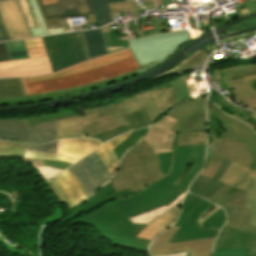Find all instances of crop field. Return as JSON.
<instances>
[{
    "label": "crop field",
    "mask_w": 256,
    "mask_h": 256,
    "mask_svg": "<svg viewBox=\"0 0 256 256\" xmlns=\"http://www.w3.org/2000/svg\"><path fill=\"white\" fill-rule=\"evenodd\" d=\"M160 173L165 176L143 187L144 190L124 199H116L112 203L87 215L80 216L65 224L72 227L76 223H84L94 227L97 234L128 238L150 243V240L135 238L146 226L132 224L128 218L153 210L163 204L169 205L183 191L169 184L183 161L181 146L173 148V152L158 154Z\"/></svg>",
    "instance_id": "8a807250"
},
{
    "label": "crop field",
    "mask_w": 256,
    "mask_h": 256,
    "mask_svg": "<svg viewBox=\"0 0 256 256\" xmlns=\"http://www.w3.org/2000/svg\"><path fill=\"white\" fill-rule=\"evenodd\" d=\"M131 65V66H129ZM139 68L127 49L69 67L55 74L22 78L27 94L46 93L120 76Z\"/></svg>",
    "instance_id": "ac0d7876"
},
{
    "label": "crop field",
    "mask_w": 256,
    "mask_h": 256,
    "mask_svg": "<svg viewBox=\"0 0 256 256\" xmlns=\"http://www.w3.org/2000/svg\"><path fill=\"white\" fill-rule=\"evenodd\" d=\"M226 218L224 210L191 193L185 196L180 217L181 227L170 242L216 237Z\"/></svg>",
    "instance_id": "34b2d1b8"
},
{
    "label": "crop field",
    "mask_w": 256,
    "mask_h": 256,
    "mask_svg": "<svg viewBox=\"0 0 256 256\" xmlns=\"http://www.w3.org/2000/svg\"><path fill=\"white\" fill-rule=\"evenodd\" d=\"M189 41L187 31L183 30L130 39V48L141 67L139 73H142L159 65L178 50L182 44Z\"/></svg>",
    "instance_id": "412701ff"
},
{
    "label": "crop field",
    "mask_w": 256,
    "mask_h": 256,
    "mask_svg": "<svg viewBox=\"0 0 256 256\" xmlns=\"http://www.w3.org/2000/svg\"><path fill=\"white\" fill-rule=\"evenodd\" d=\"M177 103L179 102H174V91L170 82L138 92L129 98L115 101L129 127L131 126L124 114L144 108L153 123L157 117Z\"/></svg>",
    "instance_id": "f4fd0767"
},
{
    "label": "crop field",
    "mask_w": 256,
    "mask_h": 256,
    "mask_svg": "<svg viewBox=\"0 0 256 256\" xmlns=\"http://www.w3.org/2000/svg\"><path fill=\"white\" fill-rule=\"evenodd\" d=\"M43 38L53 72L88 60L81 31Z\"/></svg>",
    "instance_id": "dd49c442"
},
{
    "label": "crop field",
    "mask_w": 256,
    "mask_h": 256,
    "mask_svg": "<svg viewBox=\"0 0 256 256\" xmlns=\"http://www.w3.org/2000/svg\"><path fill=\"white\" fill-rule=\"evenodd\" d=\"M244 196L245 191L224 184L208 200L226 209V226L242 232L256 233V228L246 223L249 214L244 208Z\"/></svg>",
    "instance_id": "e52e79f7"
},
{
    "label": "crop field",
    "mask_w": 256,
    "mask_h": 256,
    "mask_svg": "<svg viewBox=\"0 0 256 256\" xmlns=\"http://www.w3.org/2000/svg\"><path fill=\"white\" fill-rule=\"evenodd\" d=\"M206 101L207 99L185 102L167 114L178 120L171 129L179 132L176 136V147L189 145L188 132L206 130Z\"/></svg>",
    "instance_id": "d8731c3e"
},
{
    "label": "crop field",
    "mask_w": 256,
    "mask_h": 256,
    "mask_svg": "<svg viewBox=\"0 0 256 256\" xmlns=\"http://www.w3.org/2000/svg\"><path fill=\"white\" fill-rule=\"evenodd\" d=\"M0 140L44 143L55 140L54 121L27 128L25 119L0 120Z\"/></svg>",
    "instance_id": "5a996713"
},
{
    "label": "crop field",
    "mask_w": 256,
    "mask_h": 256,
    "mask_svg": "<svg viewBox=\"0 0 256 256\" xmlns=\"http://www.w3.org/2000/svg\"><path fill=\"white\" fill-rule=\"evenodd\" d=\"M178 229V227L172 226L157 236L149 248L151 256H160L164 254L185 251H188L189 256H211L212 244L215 238L198 239L168 244L170 238Z\"/></svg>",
    "instance_id": "3316defc"
},
{
    "label": "crop field",
    "mask_w": 256,
    "mask_h": 256,
    "mask_svg": "<svg viewBox=\"0 0 256 256\" xmlns=\"http://www.w3.org/2000/svg\"><path fill=\"white\" fill-rule=\"evenodd\" d=\"M163 176L159 173L143 180V166L139 159L128 150L110 182L116 192L129 188L134 194L142 190V186L148 185Z\"/></svg>",
    "instance_id": "28ad6ade"
},
{
    "label": "crop field",
    "mask_w": 256,
    "mask_h": 256,
    "mask_svg": "<svg viewBox=\"0 0 256 256\" xmlns=\"http://www.w3.org/2000/svg\"><path fill=\"white\" fill-rule=\"evenodd\" d=\"M68 169L78 178L88 197L112 177L95 151Z\"/></svg>",
    "instance_id": "d1516ede"
},
{
    "label": "crop field",
    "mask_w": 256,
    "mask_h": 256,
    "mask_svg": "<svg viewBox=\"0 0 256 256\" xmlns=\"http://www.w3.org/2000/svg\"><path fill=\"white\" fill-rule=\"evenodd\" d=\"M207 110L219 119L221 126L226 132H223L219 139L235 140L240 143L247 144L245 147L253 156V161L249 169L256 167V134L246 125L226 117L222 114L220 109L215 105L210 106ZM248 169V170H249Z\"/></svg>",
    "instance_id": "22f410ed"
},
{
    "label": "crop field",
    "mask_w": 256,
    "mask_h": 256,
    "mask_svg": "<svg viewBox=\"0 0 256 256\" xmlns=\"http://www.w3.org/2000/svg\"><path fill=\"white\" fill-rule=\"evenodd\" d=\"M184 161L170 185L186 191L196 174L202 169L205 145L182 146Z\"/></svg>",
    "instance_id": "cbeb9de0"
},
{
    "label": "crop field",
    "mask_w": 256,
    "mask_h": 256,
    "mask_svg": "<svg viewBox=\"0 0 256 256\" xmlns=\"http://www.w3.org/2000/svg\"><path fill=\"white\" fill-rule=\"evenodd\" d=\"M50 28L63 27L60 18L91 14L86 0H39Z\"/></svg>",
    "instance_id": "5142ce71"
},
{
    "label": "crop field",
    "mask_w": 256,
    "mask_h": 256,
    "mask_svg": "<svg viewBox=\"0 0 256 256\" xmlns=\"http://www.w3.org/2000/svg\"><path fill=\"white\" fill-rule=\"evenodd\" d=\"M79 115H87L98 112L101 119L82 128L85 137H91L103 132L115 130L126 123L114 103L107 104L103 107H92L87 109L78 110Z\"/></svg>",
    "instance_id": "d9b57169"
},
{
    "label": "crop field",
    "mask_w": 256,
    "mask_h": 256,
    "mask_svg": "<svg viewBox=\"0 0 256 256\" xmlns=\"http://www.w3.org/2000/svg\"><path fill=\"white\" fill-rule=\"evenodd\" d=\"M47 56L43 38L0 43V62Z\"/></svg>",
    "instance_id": "733c2abd"
},
{
    "label": "crop field",
    "mask_w": 256,
    "mask_h": 256,
    "mask_svg": "<svg viewBox=\"0 0 256 256\" xmlns=\"http://www.w3.org/2000/svg\"><path fill=\"white\" fill-rule=\"evenodd\" d=\"M177 120L166 116L152 125L149 132L143 138L155 153L172 151L175 147L177 133L169 132Z\"/></svg>",
    "instance_id": "4a817a6b"
},
{
    "label": "crop field",
    "mask_w": 256,
    "mask_h": 256,
    "mask_svg": "<svg viewBox=\"0 0 256 256\" xmlns=\"http://www.w3.org/2000/svg\"><path fill=\"white\" fill-rule=\"evenodd\" d=\"M47 57L0 63V78L51 73Z\"/></svg>",
    "instance_id": "bc2a9ffb"
},
{
    "label": "crop field",
    "mask_w": 256,
    "mask_h": 256,
    "mask_svg": "<svg viewBox=\"0 0 256 256\" xmlns=\"http://www.w3.org/2000/svg\"><path fill=\"white\" fill-rule=\"evenodd\" d=\"M131 194L132 193L129 191V189L115 193L110 182H108L107 185H105L98 192L92 195L84 204H82L76 210L70 212L66 217H64L60 221L67 223L80 215L87 214L115 200L116 198H123Z\"/></svg>",
    "instance_id": "214f88e0"
},
{
    "label": "crop field",
    "mask_w": 256,
    "mask_h": 256,
    "mask_svg": "<svg viewBox=\"0 0 256 256\" xmlns=\"http://www.w3.org/2000/svg\"><path fill=\"white\" fill-rule=\"evenodd\" d=\"M51 181L62 195L69 210L88 198L79 181L68 170Z\"/></svg>",
    "instance_id": "92a150f3"
},
{
    "label": "crop field",
    "mask_w": 256,
    "mask_h": 256,
    "mask_svg": "<svg viewBox=\"0 0 256 256\" xmlns=\"http://www.w3.org/2000/svg\"><path fill=\"white\" fill-rule=\"evenodd\" d=\"M214 248H250L248 256H256V234L242 233L224 226Z\"/></svg>",
    "instance_id": "dafd665d"
},
{
    "label": "crop field",
    "mask_w": 256,
    "mask_h": 256,
    "mask_svg": "<svg viewBox=\"0 0 256 256\" xmlns=\"http://www.w3.org/2000/svg\"><path fill=\"white\" fill-rule=\"evenodd\" d=\"M218 138L208 137L207 140V144L216 145L213 154L226 157L230 163L242 160L240 165L250 166L252 156L248 150L243 148L246 145L234 141H222Z\"/></svg>",
    "instance_id": "00972430"
},
{
    "label": "crop field",
    "mask_w": 256,
    "mask_h": 256,
    "mask_svg": "<svg viewBox=\"0 0 256 256\" xmlns=\"http://www.w3.org/2000/svg\"><path fill=\"white\" fill-rule=\"evenodd\" d=\"M32 37L49 35L36 0H17Z\"/></svg>",
    "instance_id": "a9b5d70f"
},
{
    "label": "crop field",
    "mask_w": 256,
    "mask_h": 256,
    "mask_svg": "<svg viewBox=\"0 0 256 256\" xmlns=\"http://www.w3.org/2000/svg\"><path fill=\"white\" fill-rule=\"evenodd\" d=\"M226 70H213V81L221 80L227 88L242 102L256 109V92L254 93L245 80L229 81Z\"/></svg>",
    "instance_id": "4177f3b9"
},
{
    "label": "crop field",
    "mask_w": 256,
    "mask_h": 256,
    "mask_svg": "<svg viewBox=\"0 0 256 256\" xmlns=\"http://www.w3.org/2000/svg\"><path fill=\"white\" fill-rule=\"evenodd\" d=\"M98 118H100V116L96 113L56 121L58 139L84 137L81 128Z\"/></svg>",
    "instance_id": "730fd06b"
},
{
    "label": "crop field",
    "mask_w": 256,
    "mask_h": 256,
    "mask_svg": "<svg viewBox=\"0 0 256 256\" xmlns=\"http://www.w3.org/2000/svg\"><path fill=\"white\" fill-rule=\"evenodd\" d=\"M228 165V161L224 159L212 179L198 175L189 191L207 199L223 185V183L217 180L222 176Z\"/></svg>",
    "instance_id": "eef30255"
},
{
    "label": "crop field",
    "mask_w": 256,
    "mask_h": 256,
    "mask_svg": "<svg viewBox=\"0 0 256 256\" xmlns=\"http://www.w3.org/2000/svg\"><path fill=\"white\" fill-rule=\"evenodd\" d=\"M102 143V141L92 139L59 140L58 154L69 155L80 159Z\"/></svg>",
    "instance_id": "ae1a2a85"
},
{
    "label": "crop field",
    "mask_w": 256,
    "mask_h": 256,
    "mask_svg": "<svg viewBox=\"0 0 256 256\" xmlns=\"http://www.w3.org/2000/svg\"><path fill=\"white\" fill-rule=\"evenodd\" d=\"M137 74H138V71L134 72L132 74L126 75L122 78L113 79V80L105 81V82H102V83H98V84H94V85H90V86H86V87H82V88H78V89L67 90V91H63V92H59V93H55V94H50V95H43V96H37V97H31V98H25V99H18V100L0 101V106L16 105V104H27V103L38 102V101H43V100L61 98V97L77 94V93H80V92H85L87 90L95 89V88H98V87H101V86H104V85H108V84H111L115 81L124 80L128 77L135 76Z\"/></svg>",
    "instance_id": "d3111659"
},
{
    "label": "crop field",
    "mask_w": 256,
    "mask_h": 256,
    "mask_svg": "<svg viewBox=\"0 0 256 256\" xmlns=\"http://www.w3.org/2000/svg\"><path fill=\"white\" fill-rule=\"evenodd\" d=\"M234 187L247 191L245 208L250 214V219L247 223L256 227V168L247 171L245 179Z\"/></svg>",
    "instance_id": "750c4746"
},
{
    "label": "crop field",
    "mask_w": 256,
    "mask_h": 256,
    "mask_svg": "<svg viewBox=\"0 0 256 256\" xmlns=\"http://www.w3.org/2000/svg\"><path fill=\"white\" fill-rule=\"evenodd\" d=\"M130 150L140 159L144 166V179L159 172L157 154L152 151L143 139Z\"/></svg>",
    "instance_id": "bd1437ed"
},
{
    "label": "crop field",
    "mask_w": 256,
    "mask_h": 256,
    "mask_svg": "<svg viewBox=\"0 0 256 256\" xmlns=\"http://www.w3.org/2000/svg\"><path fill=\"white\" fill-rule=\"evenodd\" d=\"M179 207L180 204L163 216H161L160 218H158L157 220H155L154 222L150 223L137 235V237L153 240L156 235H158L160 232L164 231L166 228L173 224Z\"/></svg>",
    "instance_id": "1d83c4d3"
},
{
    "label": "crop field",
    "mask_w": 256,
    "mask_h": 256,
    "mask_svg": "<svg viewBox=\"0 0 256 256\" xmlns=\"http://www.w3.org/2000/svg\"><path fill=\"white\" fill-rule=\"evenodd\" d=\"M20 38L6 0H0V41Z\"/></svg>",
    "instance_id": "120bbe31"
},
{
    "label": "crop field",
    "mask_w": 256,
    "mask_h": 256,
    "mask_svg": "<svg viewBox=\"0 0 256 256\" xmlns=\"http://www.w3.org/2000/svg\"><path fill=\"white\" fill-rule=\"evenodd\" d=\"M130 133L131 132H128L118 136L115 139L106 142L96 150L112 175L114 174L115 169L119 163L112 149L124 141L130 135Z\"/></svg>",
    "instance_id": "d32e631a"
},
{
    "label": "crop field",
    "mask_w": 256,
    "mask_h": 256,
    "mask_svg": "<svg viewBox=\"0 0 256 256\" xmlns=\"http://www.w3.org/2000/svg\"><path fill=\"white\" fill-rule=\"evenodd\" d=\"M89 59L106 54V46L102 29L92 31H82Z\"/></svg>",
    "instance_id": "5866460e"
},
{
    "label": "crop field",
    "mask_w": 256,
    "mask_h": 256,
    "mask_svg": "<svg viewBox=\"0 0 256 256\" xmlns=\"http://www.w3.org/2000/svg\"><path fill=\"white\" fill-rule=\"evenodd\" d=\"M126 0H87L91 13L94 14L97 27L103 26L110 21V11L107 3Z\"/></svg>",
    "instance_id": "028f5c9d"
},
{
    "label": "crop field",
    "mask_w": 256,
    "mask_h": 256,
    "mask_svg": "<svg viewBox=\"0 0 256 256\" xmlns=\"http://www.w3.org/2000/svg\"><path fill=\"white\" fill-rule=\"evenodd\" d=\"M25 95L27 94L21 78L0 80V99Z\"/></svg>",
    "instance_id": "e1f06a70"
},
{
    "label": "crop field",
    "mask_w": 256,
    "mask_h": 256,
    "mask_svg": "<svg viewBox=\"0 0 256 256\" xmlns=\"http://www.w3.org/2000/svg\"><path fill=\"white\" fill-rule=\"evenodd\" d=\"M239 164L240 162L230 164L219 181L234 186L241 179H244L245 173L249 167H242L239 166Z\"/></svg>",
    "instance_id": "0bd39190"
},
{
    "label": "crop field",
    "mask_w": 256,
    "mask_h": 256,
    "mask_svg": "<svg viewBox=\"0 0 256 256\" xmlns=\"http://www.w3.org/2000/svg\"><path fill=\"white\" fill-rule=\"evenodd\" d=\"M96 237L107 239L113 246H118V247L132 249V250L141 251V252H147L148 245H149L148 243H143L139 241L114 238V237H108L103 235H97Z\"/></svg>",
    "instance_id": "b80d0937"
},
{
    "label": "crop field",
    "mask_w": 256,
    "mask_h": 256,
    "mask_svg": "<svg viewBox=\"0 0 256 256\" xmlns=\"http://www.w3.org/2000/svg\"><path fill=\"white\" fill-rule=\"evenodd\" d=\"M75 116H79V115H77L73 111H62L54 114H46V115H40L37 117L28 118L26 119V123L28 127H31V126L40 125L46 122H50L53 120L64 119V118L75 117Z\"/></svg>",
    "instance_id": "c035e120"
},
{
    "label": "crop field",
    "mask_w": 256,
    "mask_h": 256,
    "mask_svg": "<svg viewBox=\"0 0 256 256\" xmlns=\"http://www.w3.org/2000/svg\"><path fill=\"white\" fill-rule=\"evenodd\" d=\"M13 19L22 38L31 37L16 0H7Z\"/></svg>",
    "instance_id": "c21b1889"
},
{
    "label": "crop field",
    "mask_w": 256,
    "mask_h": 256,
    "mask_svg": "<svg viewBox=\"0 0 256 256\" xmlns=\"http://www.w3.org/2000/svg\"><path fill=\"white\" fill-rule=\"evenodd\" d=\"M147 128L132 132L131 135L124 142H122L120 145L113 149L119 160L126 150L134 146L139 141Z\"/></svg>",
    "instance_id": "03da06ac"
},
{
    "label": "crop field",
    "mask_w": 256,
    "mask_h": 256,
    "mask_svg": "<svg viewBox=\"0 0 256 256\" xmlns=\"http://www.w3.org/2000/svg\"><path fill=\"white\" fill-rule=\"evenodd\" d=\"M108 5H109L110 11H111V20H112V22H115L114 18H113V13L120 12V11L130 10V14H131L133 19L136 18V17H140V14L137 10V7H136V4H135L134 1L111 3V4H108Z\"/></svg>",
    "instance_id": "b54c1fbb"
},
{
    "label": "crop field",
    "mask_w": 256,
    "mask_h": 256,
    "mask_svg": "<svg viewBox=\"0 0 256 256\" xmlns=\"http://www.w3.org/2000/svg\"><path fill=\"white\" fill-rule=\"evenodd\" d=\"M126 117L132 126L131 130H135L146 125L152 124L143 109L126 114Z\"/></svg>",
    "instance_id": "5d738f31"
},
{
    "label": "crop field",
    "mask_w": 256,
    "mask_h": 256,
    "mask_svg": "<svg viewBox=\"0 0 256 256\" xmlns=\"http://www.w3.org/2000/svg\"><path fill=\"white\" fill-rule=\"evenodd\" d=\"M171 84L175 91V101L189 100L188 89L183 76L171 81Z\"/></svg>",
    "instance_id": "d23c7cc5"
},
{
    "label": "crop field",
    "mask_w": 256,
    "mask_h": 256,
    "mask_svg": "<svg viewBox=\"0 0 256 256\" xmlns=\"http://www.w3.org/2000/svg\"><path fill=\"white\" fill-rule=\"evenodd\" d=\"M25 158H38V159H51L58 160L66 163H75L78 159L63 156V155H54V154H35V153H26Z\"/></svg>",
    "instance_id": "425ffa30"
},
{
    "label": "crop field",
    "mask_w": 256,
    "mask_h": 256,
    "mask_svg": "<svg viewBox=\"0 0 256 256\" xmlns=\"http://www.w3.org/2000/svg\"><path fill=\"white\" fill-rule=\"evenodd\" d=\"M26 152L57 154V141L49 144L27 145Z\"/></svg>",
    "instance_id": "25e5ab78"
},
{
    "label": "crop field",
    "mask_w": 256,
    "mask_h": 256,
    "mask_svg": "<svg viewBox=\"0 0 256 256\" xmlns=\"http://www.w3.org/2000/svg\"><path fill=\"white\" fill-rule=\"evenodd\" d=\"M222 159L223 158L219 156L211 155L206 167L201 171L200 175L211 178L212 175L217 171Z\"/></svg>",
    "instance_id": "73cf0c24"
},
{
    "label": "crop field",
    "mask_w": 256,
    "mask_h": 256,
    "mask_svg": "<svg viewBox=\"0 0 256 256\" xmlns=\"http://www.w3.org/2000/svg\"><path fill=\"white\" fill-rule=\"evenodd\" d=\"M218 105L222 108H225L226 110L232 112L233 114H236L237 116H240L244 119H246L247 121H249L250 123L254 124L256 126V122H254L252 119H250L247 115L250 114L251 112L246 111L244 109L235 107L231 104H229L228 102H226L225 100L218 102Z\"/></svg>",
    "instance_id": "89e229c0"
},
{
    "label": "crop field",
    "mask_w": 256,
    "mask_h": 256,
    "mask_svg": "<svg viewBox=\"0 0 256 256\" xmlns=\"http://www.w3.org/2000/svg\"><path fill=\"white\" fill-rule=\"evenodd\" d=\"M228 77H235L242 74L250 73V72H256V65H247V66H234L230 68H226Z\"/></svg>",
    "instance_id": "1f2cbd36"
},
{
    "label": "crop field",
    "mask_w": 256,
    "mask_h": 256,
    "mask_svg": "<svg viewBox=\"0 0 256 256\" xmlns=\"http://www.w3.org/2000/svg\"><path fill=\"white\" fill-rule=\"evenodd\" d=\"M44 182L52 179L54 176L62 172V170L53 169L45 166H33Z\"/></svg>",
    "instance_id": "dbb93151"
},
{
    "label": "crop field",
    "mask_w": 256,
    "mask_h": 256,
    "mask_svg": "<svg viewBox=\"0 0 256 256\" xmlns=\"http://www.w3.org/2000/svg\"><path fill=\"white\" fill-rule=\"evenodd\" d=\"M249 249H214L213 256H247Z\"/></svg>",
    "instance_id": "0fb4a251"
},
{
    "label": "crop field",
    "mask_w": 256,
    "mask_h": 256,
    "mask_svg": "<svg viewBox=\"0 0 256 256\" xmlns=\"http://www.w3.org/2000/svg\"><path fill=\"white\" fill-rule=\"evenodd\" d=\"M25 150L0 148V157H24Z\"/></svg>",
    "instance_id": "1d79db26"
},
{
    "label": "crop field",
    "mask_w": 256,
    "mask_h": 256,
    "mask_svg": "<svg viewBox=\"0 0 256 256\" xmlns=\"http://www.w3.org/2000/svg\"><path fill=\"white\" fill-rule=\"evenodd\" d=\"M126 131H130V128L128 126L121 127L115 131H111V132H107V133H103V134L94 136L93 138L99 139V140H109L123 132H126Z\"/></svg>",
    "instance_id": "9d1cf04e"
},
{
    "label": "crop field",
    "mask_w": 256,
    "mask_h": 256,
    "mask_svg": "<svg viewBox=\"0 0 256 256\" xmlns=\"http://www.w3.org/2000/svg\"><path fill=\"white\" fill-rule=\"evenodd\" d=\"M244 78L250 86L256 91V73H250L243 76L232 78L231 81L239 80Z\"/></svg>",
    "instance_id": "447ae74e"
},
{
    "label": "crop field",
    "mask_w": 256,
    "mask_h": 256,
    "mask_svg": "<svg viewBox=\"0 0 256 256\" xmlns=\"http://www.w3.org/2000/svg\"><path fill=\"white\" fill-rule=\"evenodd\" d=\"M42 165L54 167L62 170L70 166V164L61 163L57 161H50V160H42Z\"/></svg>",
    "instance_id": "0765c3eb"
},
{
    "label": "crop field",
    "mask_w": 256,
    "mask_h": 256,
    "mask_svg": "<svg viewBox=\"0 0 256 256\" xmlns=\"http://www.w3.org/2000/svg\"><path fill=\"white\" fill-rule=\"evenodd\" d=\"M27 144H19L10 141H0V147H14V148H22L25 149Z\"/></svg>",
    "instance_id": "db79e9e6"
},
{
    "label": "crop field",
    "mask_w": 256,
    "mask_h": 256,
    "mask_svg": "<svg viewBox=\"0 0 256 256\" xmlns=\"http://www.w3.org/2000/svg\"><path fill=\"white\" fill-rule=\"evenodd\" d=\"M47 186L49 187V189L51 190V192L53 193V195L56 197V199L59 201V203H64L62 200L61 195L59 194V192L56 190L54 184L50 181L48 183H46Z\"/></svg>",
    "instance_id": "7b73153f"
},
{
    "label": "crop field",
    "mask_w": 256,
    "mask_h": 256,
    "mask_svg": "<svg viewBox=\"0 0 256 256\" xmlns=\"http://www.w3.org/2000/svg\"><path fill=\"white\" fill-rule=\"evenodd\" d=\"M244 2L247 6L246 9L250 14L256 13V0H244Z\"/></svg>",
    "instance_id": "78b8030e"
},
{
    "label": "crop field",
    "mask_w": 256,
    "mask_h": 256,
    "mask_svg": "<svg viewBox=\"0 0 256 256\" xmlns=\"http://www.w3.org/2000/svg\"><path fill=\"white\" fill-rule=\"evenodd\" d=\"M104 35H105V40H106V46H107L108 53L113 52V51H117V50H120V49L127 48V47H110L108 33H104Z\"/></svg>",
    "instance_id": "0f1d7ab4"
},
{
    "label": "crop field",
    "mask_w": 256,
    "mask_h": 256,
    "mask_svg": "<svg viewBox=\"0 0 256 256\" xmlns=\"http://www.w3.org/2000/svg\"><path fill=\"white\" fill-rule=\"evenodd\" d=\"M205 141H206V136L189 138L190 144H200V143H205Z\"/></svg>",
    "instance_id": "e1d0b9f6"
},
{
    "label": "crop field",
    "mask_w": 256,
    "mask_h": 256,
    "mask_svg": "<svg viewBox=\"0 0 256 256\" xmlns=\"http://www.w3.org/2000/svg\"><path fill=\"white\" fill-rule=\"evenodd\" d=\"M209 100L217 103V101L223 100V97L221 95H217L213 90H211V96Z\"/></svg>",
    "instance_id": "ae633e8c"
},
{
    "label": "crop field",
    "mask_w": 256,
    "mask_h": 256,
    "mask_svg": "<svg viewBox=\"0 0 256 256\" xmlns=\"http://www.w3.org/2000/svg\"><path fill=\"white\" fill-rule=\"evenodd\" d=\"M224 113H226V114H228V115H230V116H232V117H234V118H236V119L241 120L242 122L248 124L254 131H256V130H255V127H254L252 124L248 123L247 121H245V120H243V119H241V118H239V117H237V116L231 114V113L228 112V111H224Z\"/></svg>",
    "instance_id": "d14b1444"
},
{
    "label": "crop field",
    "mask_w": 256,
    "mask_h": 256,
    "mask_svg": "<svg viewBox=\"0 0 256 256\" xmlns=\"http://www.w3.org/2000/svg\"><path fill=\"white\" fill-rule=\"evenodd\" d=\"M203 135H206V131H203V132H191V133H189V137L203 136Z\"/></svg>",
    "instance_id": "c39391a2"
},
{
    "label": "crop field",
    "mask_w": 256,
    "mask_h": 256,
    "mask_svg": "<svg viewBox=\"0 0 256 256\" xmlns=\"http://www.w3.org/2000/svg\"><path fill=\"white\" fill-rule=\"evenodd\" d=\"M164 256H188V255H187V252H186V253L169 254V255H164Z\"/></svg>",
    "instance_id": "ade564c9"
},
{
    "label": "crop field",
    "mask_w": 256,
    "mask_h": 256,
    "mask_svg": "<svg viewBox=\"0 0 256 256\" xmlns=\"http://www.w3.org/2000/svg\"><path fill=\"white\" fill-rule=\"evenodd\" d=\"M102 29H103L104 32H111L109 24L102 27Z\"/></svg>",
    "instance_id": "c5b07064"
},
{
    "label": "crop field",
    "mask_w": 256,
    "mask_h": 256,
    "mask_svg": "<svg viewBox=\"0 0 256 256\" xmlns=\"http://www.w3.org/2000/svg\"><path fill=\"white\" fill-rule=\"evenodd\" d=\"M82 29H85L84 26L72 27V30L74 31L82 30Z\"/></svg>",
    "instance_id": "c3a83c6f"
},
{
    "label": "crop field",
    "mask_w": 256,
    "mask_h": 256,
    "mask_svg": "<svg viewBox=\"0 0 256 256\" xmlns=\"http://www.w3.org/2000/svg\"><path fill=\"white\" fill-rule=\"evenodd\" d=\"M248 116L251 117L254 121H256V114L252 113V114H250Z\"/></svg>",
    "instance_id": "fb207236"
}]
</instances>
